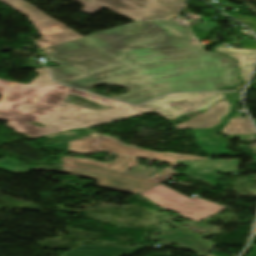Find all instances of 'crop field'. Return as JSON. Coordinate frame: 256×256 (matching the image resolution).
<instances>
[{
    "instance_id": "1",
    "label": "crop field",
    "mask_w": 256,
    "mask_h": 256,
    "mask_svg": "<svg viewBox=\"0 0 256 256\" xmlns=\"http://www.w3.org/2000/svg\"><path fill=\"white\" fill-rule=\"evenodd\" d=\"M30 18L55 82L91 89L105 83L132 90L114 96L141 104L168 92L216 90L240 84L234 59L191 45L188 30L168 19L185 0H77L89 14L102 7L135 22L83 37L23 0H0ZM194 39V38H193Z\"/></svg>"
},
{
    "instance_id": "2",
    "label": "crop field",
    "mask_w": 256,
    "mask_h": 256,
    "mask_svg": "<svg viewBox=\"0 0 256 256\" xmlns=\"http://www.w3.org/2000/svg\"><path fill=\"white\" fill-rule=\"evenodd\" d=\"M29 85L0 79V119L15 127L23 117L42 121L51 130L68 127H95L140 114L152 112L112 100L113 110L92 111L63 103L70 87L53 83L46 68Z\"/></svg>"
},
{
    "instance_id": "3",
    "label": "crop field",
    "mask_w": 256,
    "mask_h": 256,
    "mask_svg": "<svg viewBox=\"0 0 256 256\" xmlns=\"http://www.w3.org/2000/svg\"><path fill=\"white\" fill-rule=\"evenodd\" d=\"M136 159H137L136 157L121 155L116 159V161L114 163L112 162L113 164H106V163H101V162L92 161V160L73 159V158L65 157V158L62 159V161L64 163V166H65V169H64L63 172L99 180V183L97 185L99 187H104V188H109V189H114V190H119V191H124V192L137 194V193H140V192H142V191H144L148 188H151V187L159 184L160 182L152 181V180L145 179V178L125 175V174L115 173V172H111V171L96 169V168H92V167L73 164V163H79V164H84V165H89V166L100 167V168H105V169L124 172ZM65 161L73 162V163H68V162H65ZM73 168L83 170V171H86V172L76 171V170H73ZM101 174L108 175V176H113V177H117V178H122V179H126V180L136 181V182H140V183H145V184H149V185H152V186L148 187V186L139 185V184H135V183H130V182H126V181L107 178V177L100 176ZM103 181L118 184V185H122V186L131 187V188H135V189H139V190H142V191H138V190H134V189H130V188H126V187L106 183V182H103Z\"/></svg>"
},
{
    "instance_id": "4",
    "label": "crop field",
    "mask_w": 256,
    "mask_h": 256,
    "mask_svg": "<svg viewBox=\"0 0 256 256\" xmlns=\"http://www.w3.org/2000/svg\"><path fill=\"white\" fill-rule=\"evenodd\" d=\"M140 194L149 198L162 209H171L195 222L210 217L228 208L208 202L198 197L190 199L162 184Z\"/></svg>"
},
{
    "instance_id": "5",
    "label": "crop field",
    "mask_w": 256,
    "mask_h": 256,
    "mask_svg": "<svg viewBox=\"0 0 256 256\" xmlns=\"http://www.w3.org/2000/svg\"><path fill=\"white\" fill-rule=\"evenodd\" d=\"M96 150L136 156L141 158L159 160L168 162L171 166L180 165L176 161L199 160L201 157L177 154V153H160L130 147L120 146L111 139L99 137L98 139L86 138L69 142V152H75L79 155L92 154Z\"/></svg>"
},
{
    "instance_id": "6",
    "label": "crop field",
    "mask_w": 256,
    "mask_h": 256,
    "mask_svg": "<svg viewBox=\"0 0 256 256\" xmlns=\"http://www.w3.org/2000/svg\"><path fill=\"white\" fill-rule=\"evenodd\" d=\"M221 97L222 92L168 94L139 107L173 120L183 112L204 109Z\"/></svg>"
},
{
    "instance_id": "7",
    "label": "crop field",
    "mask_w": 256,
    "mask_h": 256,
    "mask_svg": "<svg viewBox=\"0 0 256 256\" xmlns=\"http://www.w3.org/2000/svg\"><path fill=\"white\" fill-rule=\"evenodd\" d=\"M177 227L178 229L175 230H169V231H163L160 232V236H151L147 237L151 240L158 241L161 240L167 244L169 243H175L180 247H189L194 252H196L198 255L203 256L206 251L209 249H212L216 244L205 241L202 239V237L220 234V231L201 235L192 232L191 230L187 229L186 227L182 225H173Z\"/></svg>"
},
{
    "instance_id": "8",
    "label": "crop field",
    "mask_w": 256,
    "mask_h": 256,
    "mask_svg": "<svg viewBox=\"0 0 256 256\" xmlns=\"http://www.w3.org/2000/svg\"><path fill=\"white\" fill-rule=\"evenodd\" d=\"M230 104L227 101H221L214 104L203 114L193 117L189 121L177 124L176 129L185 128H209L221 123L219 118L229 113Z\"/></svg>"
},
{
    "instance_id": "9",
    "label": "crop field",
    "mask_w": 256,
    "mask_h": 256,
    "mask_svg": "<svg viewBox=\"0 0 256 256\" xmlns=\"http://www.w3.org/2000/svg\"><path fill=\"white\" fill-rule=\"evenodd\" d=\"M141 248L142 246H138L137 248H128L83 245L62 254L61 256H131Z\"/></svg>"
},
{
    "instance_id": "10",
    "label": "crop field",
    "mask_w": 256,
    "mask_h": 256,
    "mask_svg": "<svg viewBox=\"0 0 256 256\" xmlns=\"http://www.w3.org/2000/svg\"><path fill=\"white\" fill-rule=\"evenodd\" d=\"M193 173H218L236 171L239 160H199L178 162Z\"/></svg>"
},
{
    "instance_id": "11",
    "label": "crop field",
    "mask_w": 256,
    "mask_h": 256,
    "mask_svg": "<svg viewBox=\"0 0 256 256\" xmlns=\"http://www.w3.org/2000/svg\"><path fill=\"white\" fill-rule=\"evenodd\" d=\"M197 139L196 144L208 156L211 155H232L224 148V143L217 140L215 133L211 129H192Z\"/></svg>"
},
{
    "instance_id": "12",
    "label": "crop field",
    "mask_w": 256,
    "mask_h": 256,
    "mask_svg": "<svg viewBox=\"0 0 256 256\" xmlns=\"http://www.w3.org/2000/svg\"><path fill=\"white\" fill-rule=\"evenodd\" d=\"M215 50L237 59L242 80H248L253 65L256 62V51L228 47H217Z\"/></svg>"
},
{
    "instance_id": "13",
    "label": "crop field",
    "mask_w": 256,
    "mask_h": 256,
    "mask_svg": "<svg viewBox=\"0 0 256 256\" xmlns=\"http://www.w3.org/2000/svg\"><path fill=\"white\" fill-rule=\"evenodd\" d=\"M222 131L225 135L256 133L248 118L230 119L229 123Z\"/></svg>"
},
{
    "instance_id": "14",
    "label": "crop field",
    "mask_w": 256,
    "mask_h": 256,
    "mask_svg": "<svg viewBox=\"0 0 256 256\" xmlns=\"http://www.w3.org/2000/svg\"><path fill=\"white\" fill-rule=\"evenodd\" d=\"M27 121L41 123L39 120L23 118L21 120V122L14 129L20 133L27 134L33 138L51 134V133H55V132H59V131H63V130H68V128H63V129L51 131L47 127L46 128H37L35 126H32V125L26 123Z\"/></svg>"
},
{
    "instance_id": "15",
    "label": "crop field",
    "mask_w": 256,
    "mask_h": 256,
    "mask_svg": "<svg viewBox=\"0 0 256 256\" xmlns=\"http://www.w3.org/2000/svg\"><path fill=\"white\" fill-rule=\"evenodd\" d=\"M0 167L5 169V170H8V171H11V172H16V173H26L32 169H38V170H54V171H58V172H61L63 171L64 167L63 165H59V166H51V167H42V168H29V167H22V166H19L7 159H3V160H0Z\"/></svg>"
},
{
    "instance_id": "16",
    "label": "crop field",
    "mask_w": 256,
    "mask_h": 256,
    "mask_svg": "<svg viewBox=\"0 0 256 256\" xmlns=\"http://www.w3.org/2000/svg\"><path fill=\"white\" fill-rule=\"evenodd\" d=\"M74 131H75V134H76V136H74V137H71V136H69L65 133H62L58 136H55V137L51 138L53 140H56V141H59V142H62V143L52 145V146H48V147L55 148V149L67 152V140L74 139V138H77V137H80V136H83V135L87 134L88 133V128L77 129V130H74Z\"/></svg>"
},
{
    "instance_id": "17",
    "label": "crop field",
    "mask_w": 256,
    "mask_h": 256,
    "mask_svg": "<svg viewBox=\"0 0 256 256\" xmlns=\"http://www.w3.org/2000/svg\"><path fill=\"white\" fill-rule=\"evenodd\" d=\"M69 94L81 96L85 99H88L90 101H93L95 103L102 104V105H105L106 103H108L111 100V99H107V98H104V97H101V96H97V95L90 94V93H87V92H83V91L73 89V88L71 89Z\"/></svg>"
},
{
    "instance_id": "18",
    "label": "crop field",
    "mask_w": 256,
    "mask_h": 256,
    "mask_svg": "<svg viewBox=\"0 0 256 256\" xmlns=\"http://www.w3.org/2000/svg\"><path fill=\"white\" fill-rule=\"evenodd\" d=\"M184 174L195 179L207 181L213 184L214 186L218 185V182H217L218 179H216L218 177L217 174H193L189 170L185 171Z\"/></svg>"
},
{
    "instance_id": "19",
    "label": "crop field",
    "mask_w": 256,
    "mask_h": 256,
    "mask_svg": "<svg viewBox=\"0 0 256 256\" xmlns=\"http://www.w3.org/2000/svg\"><path fill=\"white\" fill-rule=\"evenodd\" d=\"M175 174H177V173L165 168V169L161 170L159 173H157L156 175L150 177L149 179L164 182L167 179H169L170 177L174 176Z\"/></svg>"
},
{
    "instance_id": "20",
    "label": "crop field",
    "mask_w": 256,
    "mask_h": 256,
    "mask_svg": "<svg viewBox=\"0 0 256 256\" xmlns=\"http://www.w3.org/2000/svg\"><path fill=\"white\" fill-rule=\"evenodd\" d=\"M239 47L256 49V41L241 38L239 42Z\"/></svg>"
},
{
    "instance_id": "21",
    "label": "crop field",
    "mask_w": 256,
    "mask_h": 256,
    "mask_svg": "<svg viewBox=\"0 0 256 256\" xmlns=\"http://www.w3.org/2000/svg\"><path fill=\"white\" fill-rule=\"evenodd\" d=\"M236 139H256V134L235 136Z\"/></svg>"
},
{
    "instance_id": "22",
    "label": "crop field",
    "mask_w": 256,
    "mask_h": 256,
    "mask_svg": "<svg viewBox=\"0 0 256 256\" xmlns=\"http://www.w3.org/2000/svg\"><path fill=\"white\" fill-rule=\"evenodd\" d=\"M248 256H256V248H252Z\"/></svg>"
},
{
    "instance_id": "23",
    "label": "crop field",
    "mask_w": 256,
    "mask_h": 256,
    "mask_svg": "<svg viewBox=\"0 0 256 256\" xmlns=\"http://www.w3.org/2000/svg\"><path fill=\"white\" fill-rule=\"evenodd\" d=\"M206 256H214V255H212V254L208 253Z\"/></svg>"
},
{
    "instance_id": "24",
    "label": "crop field",
    "mask_w": 256,
    "mask_h": 256,
    "mask_svg": "<svg viewBox=\"0 0 256 256\" xmlns=\"http://www.w3.org/2000/svg\"><path fill=\"white\" fill-rule=\"evenodd\" d=\"M254 122L256 123V120H254Z\"/></svg>"
},
{
    "instance_id": "25",
    "label": "crop field",
    "mask_w": 256,
    "mask_h": 256,
    "mask_svg": "<svg viewBox=\"0 0 256 256\" xmlns=\"http://www.w3.org/2000/svg\"><path fill=\"white\" fill-rule=\"evenodd\" d=\"M253 247H256V245H255V246H253Z\"/></svg>"
},
{
    "instance_id": "26",
    "label": "crop field",
    "mask_w": 256,
    "mask_h": 256,
    "mask_svg": "<svg viewBox=\"0 0 256 256\" xmlns=\"http://www.w3.org/2000/svg\"><path fill=\"white\" fill-rule=\"evenodd\" d=\"M255 235H256V231H255Z\"/></svg>"
}]
</instances>
